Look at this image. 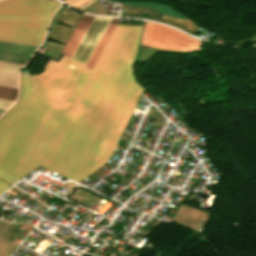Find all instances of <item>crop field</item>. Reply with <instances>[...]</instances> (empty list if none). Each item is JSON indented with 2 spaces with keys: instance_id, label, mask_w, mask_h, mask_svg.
Listing matches in <instances>:
<instances>
[{
  "instance_id": "crop-field-1",
  "label": "crop field",
  "mask_w": 256,
  "mask_h": 256,
  "mask_svg": "<svg viewBox=\"0 0 256 256\" xmlns=\"http://www.w3.org/2000/svg\"><path fill=\"white\" fill-rule=\"evenodd\" d=\"M141 29L116 25L92 70L63 56L22 73V98L0 120V178L13 184L41 165L79 182L109 159L142 91Z\"/></svg>"
},
{
  "instance_id": "crop-field-2",
  "label": "crop field",
  "mask_w": 256,
  "mask_h": 256,
  "mask_svg": "<svg viewBox=\"0 0 256 256\" xmlns=\"http://www.w3.org/2000/svg\"><path fill=\"white\" fill-rule=\"evenodd\" d=\"M58 5L44 0L0 1V40L38 46Z\"/></svg>"
},
{
  "instance_id": "crop-field-3",
  "label": "crop field",
  "mask_w": 256,
  "mask_h": 256,
  "mask_svg": "<svg viewBox=\"0 0 256 256\" xmlns=\"http://www.w3.org/2000/svg\"><path fill=\"white\" fill-rule=\"evenodd\" d=\"M169 28L146 22L141 44L175 51L200 49L198 41Z\"/></svg>"
},
{
  "instance_id": "crop-field-4",
  "label": "crop field",
  "mask_w": 256,
  "mask_h": 256,
  "mask_svg": "<svg viewBox=\"0 0 256 256\" xmlns=\"http://www.w3.org/2000/svg\"><path fill=\"white\" fill-rule=\"evenodd\" d=\"M111 18L96 17L71 59L85 65Z\"/></svg>"
},
{
  "instance_id": "crop-field-5",
  "label": "crop field",
  "mask_w": 256,
  "mask_h": 256,
  "mask_svg": "<svg viewBox=\"0 0 256 256\" xmlns=\"http://www.w3.org/2000/svg\"><path fill=\"white\" fill-rule=\"evenodd\" d=\"M94 16H87L82 15L80 21L78 22L76 28L74 29L73 33L71 34L64 50L63 54L70 57L74 53L75 49L77 48L78 44L80 43L82 37L84 36L86 30L88 29L90 23L92 22Z\"/></svg>"
},
{
  "instance_id": "crop-field-6",
  "label": "crop field",
  "mask_w": 256,
  "mask_h": 256,
  "mask_svg": "<svg viewBox=\"0 0 256 256\" xmlns=\"http://www.w3.org/2000/svg\"><path fill=\"white\" fill-rule=\"evenodd\" d=\"M36 48L35 46L0 41V55L28 59Z\"/></svg>"
},
{
  "instance_id": "crop-field-7",
  "label": "crop field",
  "mask_w": 256,
  "mask_h": 256,
  "mask_svg": "<svg viewBox=\"0 0 256 256\" xmlns=\"http://www.w3.org/2000/svg\"><path fill=\"white\" fill-rule=\"evenodd\" d=\"M20 67L0 62V85L17 88V73Z\"/></svg>"
},
{
  "instance_id": "crop-field-8",
  "label": "crop field",
  "mask_w": 256,
  "mask_h": 256,
  "mask_svg": "<svg viewBox=\"0 0 256 256\" xmlns=\"http://www.w3.org/2000/svg\"><path fill=\"white\" fill-rule=\"evenodd\" d=\"M117 20H118V18H112V20L110 21L107 29L105 30L102 38L100 39L97 47L95 48L93 54L91 55L90 59L88 60V62L86 64L87 67L92 69L97 57L99 56L103 46L105 45L110 33L112 32V30H113V28H114V26L117 22Z\"/></svg>"
},
{
  "instance_id": "crop-field-9",
  "label": "crop field",
  "mask_w": 256,
  "mask_h": 256,
  "mask_svg": "<svg viewBox=\"0 0 256 256\" xmlns=\"http://www.w3.org/2000/svg\"><path fill=\"white\" fill-rule=\"evenodd\" d=\"M9 223L0 220V256H9L17 243L2 239Z\"/></svg>"
},
{
  "instance_id": "crop-field-10",
  "label": "crop field",
  "mask_w": 256,
  "mask_h": 256,
  "mask_svg": "<svg viewBox=\"0 0 256 256\" xmlns=\"http://www.w3.org/2000/svg\"><path fill=\"white\" fill-rule=\"evenodd\" d=\"M17 89L0 86V99L15 101Z\"/></svg>"
},
{
  "instance_id": "crop-field-11",
  "label": "crop field",
  "mask_w": 256,
  "mask_h": 256,
  "mask_svg": "<svg viewBox=\"0 0 256 256\" xmlns=\"http://www.w3.org/2000/svg\"><path fill=\"white\" fill-rule=\"evenodd\" d=\"M0 61L20 64V65H24V63L26 62V60L24 59H18V58L6 57V56H0Z\"/></svg>"
},
{
  "instance_id": "crop-field-12",
  "label": "crop field",
  "mask_w": 256,
  "mask_h": 256,
  "mask_svg": "<svg viewBox=\"0 0 256 256\" xmlns=\"http://www.w3.org/2000/svg\"><path fill=\"white\" fill-rule=\"evenodd\" d=\"M12 103L11 101L0 100V108L7 110Z\"/></svg>"
},
{
  "instance_id": "crop-field-13",
  "label": "crop field",
  "mask_w": 256,
  "mask_h": 256,
  "mask_svg": "<svg viewBox=\"0 0 256 256\" xmlns=\"http://www.w3.org/2000/svg\"><path fill=\"white\" fill-rule=\"evenodd\" d=\"M10 185L0 181V193H2L4 190H6Z\"/></svg>"
},
{
  "instance_id": "crop-field-14",
  "label": "crop field",
  "mask_w": 256,
  "mask_h": 256,
  "mask_svg": "<svg viewBox=\"0 0 256 256\" xmlns=\"http://www.w3.org/2000/svg\"><path fill=\"white\" fill-rule=\"evenodd\" d=\"M4 112H5V110H1V109H0V115L3 114Z\"/></svg>"
}]
</instances>
